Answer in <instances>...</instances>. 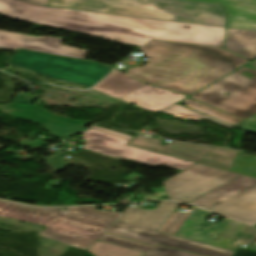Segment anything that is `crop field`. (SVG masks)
Listing matches in <instances>:
<instances>
[{
  "instance_id": "1",
  "label": "crop field",
  "mask_w": 256,
  "mask_h": 256,
  "mask_svg": "<svg viewBox=\"0 0 256 256\" xmlns=\"http://www.w3.org/2000/svg\"><path fill=\"white\" fill-rule=\"evenodd\" d=\"M0 14L138 47L152 39L223 47L226 35L222 27L59 9L19 0H0Z\"/></svg>"
},
{
  "instance_id": "2",
  "label": "crop field",
  "mask_w": 256,
  "mask_h": 256,
  "mask_svg": "<svg viewBox=\"0 0 256 256\" xmlns=\"http://www.w3.org/2000/svg\"><path fill=\"white\" fill-rule=\"evenodd\" d=\"M139 50L149 62L130 73L143 82L190 95L248 60L221 48L152 40ZM162 77L160 80L153 78Z\"/></svg>"
},
{
  "instance_id": "3",
  "label": "crop field",
  "mask_w": 256,
  "mask_h": 256,
  "mask_svg": "<svg viewBox=\"0 0 256 256\" xmlns=\"http://www.w3.org/2000/svg\"><path fill=\"white\" fill-rule=\"evenodd\" d=\"M96 207L41 209L0 201V216L46 225L40 236L87 249L117 220L120 212H104Z\"/></svg>"
},
{
  "instance_id": "4",
  "label": "crop field",
  "mask_w": 256,
  "mask_h": 256,
  "mask_svg": "<svg viewBox=\"0 0 256 256\" xmlns=\"http://www.w3.org/2000/svg\"><path fill=\"white\" fill-rule=\"evenodd\" d=\"M48 6L225 27L221 5L186 0H51Z\"/></svg>"
},
{
  "instance_id": "5",
  "label": "crop field",
  "mask_w": 256,
  "mask_h": 256,
  "mask_svg": "<svg viewBox=\"0 0 256 256\" xmlns=\"http://www.w3.org/2000/svg\"><path fill=\"white\" fill-rule=\"evenodd\" d=\"M245 72L252 78L241 75ZM225 92L230 95H223ZM190 98L245 120L236 127L256 133V71L243 66Z\"/></svg>"
},
{
  "instance_id": "6",
  "label": "crop field",
  "mask_w": 256,
  "mask_h": 256,
  "mask_svg": "<svg viewBox=\"0 0 256 256\" xmlns=\"http://www.w3.org/2000/svg\"><path fill=\"white\" fill-rule=\"evenodd\" d=\"M9 64L34 70L52 78L67 80L89 87L113 69L109 66L89 61L19 49L12 55Z\"/></svg>"
},
{
  "instance_id": "7",
  "label": "crop field",
  "mask_w": 256,
  "mask_h": 256,
  "mask_svg": "<svg viewBox=\"0 0 256 256\" xmlns=\"http://www.w3.org/2000/svg\"><path fill=\"white\" fill-rule=\"evenodd\" d=\"M81 138L87 140L82 149L150 165L152 167L162 165L182 171L195 163L127 146L126 144L132 137L114 133L96 126L85 132Z\"/></svg>"
},
{
  "instance_id": "8",
  "label": "crop field",
  "mask_w": 256,
  "mask_h": 256,
  "mask_svg": "<svg viewBox=\"0 0 256 256\" xmlns=\"http://www.w3.org/2000/svg\"><path fill=\"white\" fill-rule=\"evenodd\" d=\"M142 136L134 137L127 145L199 162L228 171L238 152L235 150H218L216 148L180 142L168 143L163 140Z\"/></svg>"
},
{
  "instance_id": "9",
  "label": "crop field",
  "mask_w": 256,
  "mask_h": 256,
  "mask_svg": "<svg viewBox=\"0 0 256 256\" xmlns=\"http://www.w3.org/2000/svg\"><path fill=\"white\" fill-rule=\"evenodd\" d=\"M106 233L146 244H157L205 256H232L234 252L116 221Z\"/></svg>"
},
{
  "instance_id": "10",
  "label": "crop field",
  "mask_w": 256,
  "mask_h": 256,
  "mask_svg": "<svg viewBox=\"0 0 256 256\" xmlns=\"http://www.w3.org/2000/svg\"><path fill=\"white\" fill-rule=\"evenodd\" d=\"M62 39L55 37H33L24 34L0 33V48L24 49L84 60L87 51L59 45Z\"/></svg>"
},
{
  "instance_id": "11",
  "label": "crop field",
  "mask_w": 256,
  "mask_h": 256,
  "mask_svg": "<svg viewBox=\"0 0 256 256\" xmlns=\"http://www.w3.org/2000/svg\"><path fill=\"white\" fill-rule=\"evenodd\" d=\"M186 97L147 84L120 99L158 113Z\"/></svg>"
},
{
  "instance_id": "12",
  "label": "crop field",
  "mask_w": 256,
  "mask_h": 256,
  "mask_svg": "<svg viewBox=\"0 0 256 256\" xmlns=\"http://www.w3.org/2000/svg\"><path fill=\"white\" fill-rule=\"evenodd\" d=\"M223 170L196 163L172 178L162 182L169 197L175 198L213 178Z\"/></svg>"
},
{
  "instance_id": "13",
  "label": "crop field",
  "mask_w": 256,
  "mask_h": 256,
  "mask_svg": "<svg viewBox=\"0 0 256 256\" xmlns=\"http://www.w3.org/2000/svg\"><path fill=\"white\" fill-rule=\"evenodd\" d=\"M181 203L160 202L155 210L126 209L118 220L158 231Z\"/></svg>"
},
{
  "instance_id": "14",
  "label": "crop field",
  "mask_w": 256,
  "mask_h": 256,
  "mask_svg": "<svg viewBox=\"0 0 256 256\" xmlns=\"http://www.w3.org/2000/svg\"><path fill=\"white\" fill-rule=\"evenodd\" d=\"M209 210L244 222H256V186Z\"/></svg>"
},
{
  "instance_id": "15",
  "label": "crop field",
  "mask_w": 256,
  "mask_h": 256,
  "mask_svg": "<svg viewBox=\"0 0 256 256\" xmlns=\"http://www.w3.org/2000/svg\"><path fill=\"white\" fill-rule=\"evenodd\" d=\"M223 4L227 10L228 27L256 31V0H195Z\"/></svg>"
},
{
  "instance_id": "16",
  "label": "crop field",
  "mask_w": 256,
  "mask_h": 256,
  "mask_svg": "<svg viewBox=\"0 0 256 256\" xmlns=\"http://www.w3.org/2000/svg\"><path fill=\"white\" fill-rule=\"evenodd\" d=\"M254 185L256 178L243 175L191 203L209 209Z\"/></svg>"
},
{
  "instance_id": "17",
  "label": "crop field",
  "mask_w": 256,
  "mask_h": 256,
  "mask_svg": "<svg viewBox=\"0 0 256 256\" xmlns=\"http://www.w3.org/2000/svg\"><path fill=\"white\" fill-rule=\"evenodd\" d=\"M143 85L145 83L115 70L93 89L118 99Z\"/></svg>"
},
{
  "instance_id": "18",
  "label": "crop field",
  "mask_w": 256,
  "mask_h": 256,
  "mask_svg": "<svg viewBox=\"0 0 256 256\" xmlns=\"http://www.w3.org/2000/svg\"><path fill=\"white\" fill-rule=\"evenodd\" d=\"M99 240L147 253L144 256H201L160 245L154 247L106 233H104Z\"/></svg>"
},
{
  "instance_id": "19",
  "label": "crop field",
  "mask_w": 256,
  "mask_h": 256,
  "mask_svg": "<svg viewBox=\"0 0 256 256\" xmlns=\"http://www.w3.org/2000/svg\"><path fill=\"white\" fill-rule=\"evenodd\" d=\"M225 49L250 60L256 58V32L228 28Z\"/></svg>"
},
{
  "instance_id": "20",
  "label": "crop field",
  "mask_w": 256,
  "mask_h": 256,
  "mask_svg": "<svg viewBox=\"0 0 256 256\" xmlns=\"http://www.w3.org/2000/svg\"><path fill=\"white\" fill-rule=\"evenodd\" d=\"M21 112L10 113L13 117L28 120L31 122L38 123L40 125H44L51 120H56L64 123H69L77 126L84 127L87 122H81L77 120H72L60 116H55L50 114L49 112L33 105H22V104H7Z\"/></svg>"
},
{
  "instance_id": "21",
  "label": "crop field",
  "mask_w": 256,
  "mask_h": 256,
  "mask_svg": "<svg viewBox=\"0 0 256 256\" xmlns=\"http://www.w3.org/2000/svg\"><path fill=\"white\" fill-rule=\"evenodd\" d=\"M239 176H241V174L225 171L175 200L191 202Z\"/></svg>"
},
{
  "instance_id": "22",
  "label": "crop field",
  "mask_w": 256,
  "mask_h": 256,
  "mask_svg": "<svg viewBox=\"0 0 256 256\" xmlns=\"http://www.w3.org/2000/svg\"><path fill=\"white\" fill-rule=\"evenodd\" d=\"M184 104L193 110H196L198 112H201L203 114H206L208 116L216 118L218 120H221V121L231 124L233 126H235L243 121L238 118L232 117L224 112H221L211 106H208L206 104L200 103L195 100H192L190 98L184 100Z\"/></svg>"
},
{
  "instance_id": "23",
  "label": "crop field",
  "mask_w": 256,
  "mask_h": 256,
  "mask_svg": "<svg viewBox=\"0 0 256 256\" xmlns=\"http://www.w3.org/2000/svg\"><path fill=\"white\" fill-rule=\"evenodd\" d=\"M256 241V231L249 225H245L233 240L228 250L236 252L233 256H256L255 251L236 248L241 242L252 245Z\"/></svg>"
},
{
  "instance_id": "24",
  "label": "crop field",
  "mask_w": 256,
  "mask_h": 256,
  "mask_svg": "<svg viewBox=\"0 0 256 256\" xmlns=\"http://www.w3.org/2000/svg\"><path fill=\"white\" fill-rule=\"evenodd\" d=\"M87 251L95 256H143L144 253L97 241Z\"/></svg>"
},
{
  "instance_id": "25",
  "label": "crop field",
  "mask_w": 256,
  "mask_h": 256,
  "mask_svg": "<svg viewBox=\"0 0 256 256\" xmlns=\"http://www.w3.org/2000/svg\"><path fill=\"white\" fill-rule=\"evenodd\" d=\"M243 226L244 225L239 222L230 220L222 232L215 239V241L212 243V245L227 249L229 244L232 242V240Z\"/></svg>"
},
{
  "instance_id": "26",
  "label": "crop field",
  "mask_w": 256,
  "mask_h": 256,
  "mask_svg": "<svg viewBox=\"0 0 256 256\" xmlns=\"http://www.w3.org/2000/svg\"><path fill=\"white\" fill-rule=\"evenodd\" d=\"M45 131L55 134L58 139H63L65 137H70L79 133L80 131L86 130V128H81L69 124H64L56 121H51L50 123L44 125Z\"/></svg>"
},
{
  "instance_id": "27",
  "label": "crop field",
  "mask_w": 256,
  "mask_h": 256,
  "mask_svg": "<svg viewBox=\"0 0 256 256\" xmlns=\"http://www.w3.org/2000/svg\"><path fill=\"white\" fill-rule=\"evenodd\" d=\"M196 209L197 208L194 207L188 214L175 211L174 214L170 217V219L163 225V227L159 231L175 235L176 232L180 229V227L185 223V221Z\"/></svg>"
},
{
  "instance_id": "28",
  "label": "crop field",
  "mask_w": 256,
  "mask_h": 256,
  "mask_svg": "<svg viewBox=\"0 0 256 256\" xmlns=\"http://www.w3.org/2000/svg\"><path fill=\"white\" fill-rule=\"evenodd\" d=\"M163 112H167L171 115H174V116L180 117V118H184V119L192 118V119H195V120H199L201 118H206V119H209L211 121L217 122L219 124L225 125L227 127L233 128L232 126H229L227 124H224V123H221V122L216 121L214 119H211V118H209L205 115H202L198 112L191 111V110L187 109L185 106L178 105V104H175V105L169 107L168 109L164 110Z\"/></svg>"
},
{
  "instance_id": "29",
  "label": "crop field",
  "mask_w": 256,
  "mask_h": 256,
  "mask_svg": "<svg viewBox=\"0 0 256 256\" xmlns=\"http://www.w3.org/2000/svg\"><path fill=\"white\" fill-rule=\"evenodd\" d=\"M43 160L48 164L50 168H53L55 172L60 171L65 167V159L63 156L44 158Z\"/></svg>"
},
{
  "instance_id": "30",
  "label": "crop field",
  "mask_w": 256,
  "mask_h": 256,
  "mask_svg": "<svg viewBox=\"0 0 256 256\" xmlns=\"http://www.w3.org/2000/svg\"><path fill=\"white\" fill-rule=\"evenodd\" d=\"M40 145H48L40 140H37V141H34V142H31V143H28L26 145H23V146H26V147H29V148H32V147H35V146H40Z\"/></svg>"
},
{
  "instance_id": "31",
  "label": "crop field",
  "mask_w": 256,
  "mask_h": 256,
  "mask_svg": "<svg viewBox=\"0 0 256 256\" xmlns=\"http://www.w3.org/2000/svg\"><path fill=\"white\" fill-rule=\"evenodd\" d=\"M24 1L32 2L40 5H46L48 2V0H24Z\"/></svg>"
},
{
  "instance_id": "32",
  "label": "crop field",
  "mask_w": 256,
  "mask_h": 256,
  "mask_svg": "<svg viewBox=\"0 0 256 256\" xmlns=\"http://www.w3.org/2000/svg\"><path fill=\"white\" fill-rule=\"evenodd\" d=\"M0 32H2V31H0Z\"/></svg>"
}]
</instances>
